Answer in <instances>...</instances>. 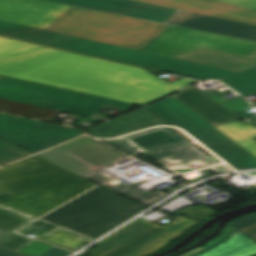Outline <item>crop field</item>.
<instances>
[{"label":"crop field","mask_w":256,"mask_h":256,"mask_svg":"<svg viewBox=\"0 0 256 256\" xmlns=\"http://www.w3.org/2000/svg\"><path fill=\"white\" fill-rule=\"evenodd\" d=\"M120 64L72 53L13 78L138 105L195 81L183 78L169 85L144 69Z\"/></svg>","instance_id":"crop-field-1"},{"label":"crop field","mask_w":256,"mask_h":256,"mask_svg":"<svg viewBox=\"0 0 256 256\" xmlns=\"http://www.w3.org/2000/svg\"><path fill=\"white\" fill-rule=\"evenodd\" d=\"M0 35L182 76L219 79L244 97L256 95V68L236 73L3 21H0Z\"/></svg>","instance_id":"crop-field-2"},{"label":"crop field","mask_w":256,"mask_h":256,"mask_svg":"<svg viewBox=\"0 0 256 256\" xmlns=\"http://www.w3.org/2000/svg\"><path fill=\"white\" fill-rule=\"evenodd\" d=\"M93 186L36 156L0 168V204L36 218Z\"/></svg>","instance_id":"crop-field-3"},{"label":"crop field","mask_w":256,"mask_h":256,"mask_svg":"<svg viewBox=\"0 0 256 256\" xmlns=\"http://www.w3.org/2000/svg\"><path fill=\"white\" fill-rule=\"evenodd\" d=\"M168 26L70 6L46 30L140 50Z\"/></svg>","instance_id":"crop-field-4"},{"label":"crop field","mask_w":256,"mask_h":256,"mask_svg":"<svg viewBox=\"0 0 256 256\" xmlns=\"http://www.w3.org/2000/svg\"><path fill=\"white\" fill-rule=\"evenodd\" d=\"M145 209L97 187L40 220L95 239Z\"/></svg>","instance_id":"crop-field-5"},{"label":"crop field","mask_w":256,"mask_h":256,"mask_svg":"<svg viewBox=\"0 0 256 256\" xmlns=\"http://www.w3.org/2000/svg\"><path fill=\"white\" fill-rule=\"evenodd\" d=\"M146 107L170 125L181 127L201 143L210 146L212 151L235 169L256 168V157L174 97Z\"/></svg>","instance_id":"crop-field-6"},{"label":"crop field","mask_w":256,"mask_h":256,"mask_svg":"<svg viewBox=\"0 0 256 256\" xmlns=\"http://www.w3.org/2000/svg\"><path fill=\"white\" fill-rule=\"evenodd\" d=\"M198 222L179 216L166 226H157L140 217L98 243L90 256H150Z\"/></svg>","instance_id":"crop-field-7"},{"label":"crop field","mask_w":256,"mask_h":256,"mask_svg":"<svg viewBox=\"0 0 256 256\" xmlns=\"http://www.w3.org/2000/svg\"><path fill=\"white\" fill-rule=\"evenodd\" d=\"M0 97L64 110L88 117H91L103 103L127 109L134 107L130 104L118 103L100 97L84 95L77 92L42 86L6 77L0 79Z\"/></svg>","instance_id":"crop-field-8"},{"label":"crop field","mask_w":256,"mask_h":256,"mask_svg":"<svg viewBox=\"0 0 256 256\" xmlns=\"http://www.w3.org/2000/svg\"><path fill=\"white\" fill-rule=\"evenodd\" d=\"M201 48L249 57L256 52V42L169 26L141 50L173 57Z\"/></svg>","instance_id":"crop-field-9"},{"label":"crop field","mask_w":256,"mask_h":256,"mask_svg":"<svg viewBox=\"0 0 256 256\" xmlns=\"http://www.w3.org/2000/svg\"><path fill=\"white\" fill-rule=\"evenodd\" d=\"M105 142L132 155L143 153L154 160L174 155L194 166L210 157L194 145L185 146L189 141L169 127L149 129Z\"/></svg>","instance_id":"crop-field-10"},{"label":"crop field","mask_w":256,"mask_h":256,"mask_svg":"<svg viewBox=\"0 0 256 256\" xmlns=\"http://www.w3.org/2000/svg\"><path fill=\"white\" fill-rule=\"evenodd\" d=\"M38 155L97 184L111 179L94 171L95 169L125 157L86 137L78 138Z\"/></svg>","instance_id":"crop-field-11"},{"label":"crop field","mask_w":256,"mask_h":256,"mask_svg":"<svg viewBox=\"0 0 256 256\" xmlns=\"http://www.w3.org/2000/svg\"><path fill=\"white\" fill-rule=\"evenodd\" d=\"M81 135L78 130L0 113V138L33 153Z\"/></svg>","instance_id":"crop-field-12"},{"label":"crop field","mask_w":256,"mask_h":256,"mask_svg":"<svg viewBox=\"0 0 256 256\" xmlns=\"http://www.w3.org/2000/svg\"><path fill=\"white\" fill-rule=\"evenodd\" d=\"M35 218L0 206V246L30 256H67L71 252L14 233Z\"/></svg>","instance_id":"crop-field-13"},{"label":"crop field","mask_w":256,"mask_h":256,"mask_svg":"<svg viewBox=\"0 0 256 256\" xmlns=\"http://www.w3.org/2000/svg\"><path fill=\"white\" fill-rule=\"evenodd\" d=\"M68 7L44 0H0V20L45 29Z\"/></svg>","instance_id":"crop-field-14"},{"label":"crop field","mask_w":256,"mask_h":256,"mask_svg":"<svg viewBox=\"0 0 256 256\" xmlns=\"http://www.w3.org/2000/svg\"><path fill=\"white\" fill-rule=\"evenodd\" d=\"M164 23L176 10L130 0H49Z\"/></svg>","instance_id":"crop-field-15"},{"label":"crop field","mask_w":256,"mask_h":256,"mask_svg":"<svg viewBox=\"0 0 256 256\" xmlns=\"http://www.w3.org/2000/svg\"><path fill=\"white\" fill-rule=\"evenodd\" d=\"M256 25V10L211 0H135Z\"/></svg>","instance_id":"crop-field-16"},{"label":"crop field","mask_w":256,"mask_h":256,"mask_svg":"<svg viewBox=\"0 0 256 256\" xmlns=\"http://www.w3.org/2000/svg\"><path fill=\"white\" fill-rule=\"evenodd\" d=\"M165 23L256 41V26L177 10Z\"/></svg>","instance_id":"crop-field-17"},{"label":"crop field","mask_w":256,"mask_h":256,"mask_svg":"<svg viewBox=\"0 0 256 256\" xmlns=\"http://www.w3.org/2000/svg\"><path fill=\"white\" fill-rule=\"evenodd\" d=\"M173 96L214 126L241 119L192 86Z\"/></svg>","instance_id":"crop-field-18"},{"label":"crop field","mask_w":256,"mask_h":256,"mask_svg":"<svg viewBox=\"0 0 256 256\" xmlns=\"http://www.w3.org/2000/svg\"><path fill=\"white\" fill-rule=\"evenodd\" d=\"M166 125L146 109L142 108L115 120L87 130L89 134L99 138H113L143 128Z\"/></svg>","instance_id":"crop-field-19"},{"label":"crop field","mask_w":256,"mask_h":256,"mask_svg":"<svg viewBox=\"0 0 256 256\" xmlns=\"http://www.w3.org/2000/svg\"><path fill=\"white\" fill-rule=\"evenodd\" d=\"M174 58L184 59L236 72L256 67V53L247 58L230 53L202 49L182 54Z\"/></svg>","instance_id":"crop-field-20"},{"label":"crop field","mask_w":256,"mask_h":256,"mask_svg":"<svg viewBox=\"0 0 256 256\" xmlns=\"http://www.w3.org/2000/svg\"><path fill=\"white\" fill-rule=\"evenodd\" d=\"M18 232L25 235H37L35 238L72 251L83 246L85 242L90 240L39 220L25 226L24 228L18 230Z\"/></svg>","instance_id":"crop-field-21"},{"label":"crop field","mask_w":256,"mask_h":256,"mask_svg":"<svg viewBox=\"0 0 256 256\" xmlns=\"http://www.w3.org/2000/svg\"><path fill=\"white\" fill-rule=\"evenodd\" d=\"M53 50L54 49L0 37V70Z\"/></svg>","instance_id":"crop-field-22"},{"label":"crop field","mask_w":256,"mask_h":256,"mask_svg":"<svg viewBox=\"0 0 256 256\" xmlns=\"http://www.w3.org/2000/svg\"><path fill=\"white\" fill-rule=\"evenodd\" d=\"M256 254V244L239 231L223 244L201 256H252Z\"/></svg>","instance_id":"crop-field-23"},{"label":"crop field","mask_w":256,"mask_h":256,"mask_svg":"<svg viewBox=\"0 0 256 256\" xmlns=\"http://www.w3.org/2000/svg\"><path fill=\"white\" fill-rule=\"evenodd\" d=\"M0 112L49 120L60 111L0 98Z\"/></svg>","instance_id":"crop-field-24"},{"label":"crop field","mask_w":256,"mask_h":256,"mask_svg":"<svg viewBox=\"0 0 256 256\" xmlns=\"http://www.w3.org/2000/svg\"><path fill=\"white\" fill-rule=\"evenodd\" d=\"M70 53L71 52L55 50L53 52L47 53L45 55L39 56V57L34 58L32 60L26 61L24 63L18 64L16 66L11 67V68L0 71V74L13 76L15 74L21 73L23 71H26L28 69L39 66L41 64L52 61L54 59H57L59 57H62L64 55H67V54H70Z\"/></svg>","instance_id":"crop-field-25"},{"label":"crop field","mask_w":256,"mask_h":256,"mask_svg":"<svg viewBox=\"0 0 256 256\" xmlns=\"http://www.w3.org/2000/svg\"><path fill=\"white\" fill-rule=\"evenodd\" d=\"M216 127L235 142L256 137V127L250 124L244 125L239 121Z\"/></svg>","instance_id":"crop-field-26"},{"label":"crop field","mask_w":256,"mask_h":256,"mask_svg":"<svg viewBox=\"0 0 256 256\" xmlns=\"http://www.w3.org/2000/svg\"><path fill=\"white\" fill-rule=\"evenodd\" d=\"M127 187H128L127 185H125L124 183H121V184H119V185H117V186H115V187H113L109 190L120 193V194H122L124 196H127L129 198H132V199H134V200H136L140 203H142V202L152 203V202H154V201H156V200H158L161 197L166 195V194L161 193L159 191L153 192L149 195H146V194H144L142 192H139V191H137L133 188L129 189Z\"/></svg>","instance_id":"crop-field-27"},{"label":"crop field","mask_w":256,"mask_h":256,"mask_svg":"<svg viewBox=\"0 0 256 256\" xmlns=\"http://www.w3.org/2000/svg\"><path fill=\"white\" fill-rule=\"evenodd\" d=\"M229 225L256 243V214L242 217Z\"/></svg>","instance_id":"crop-field-28"},{"label":"crop field","mask_w":256,"mask_h":256,"mask_svg":"<svg viewBox=\"0 0 256 256\" xmlns=\"http://www.w3.org/2000/svg\"><path fill=\"white\" fill-rule=\"evenodd\" d=\"M31 155L30 153L0 140V165Z\"/></svg>","instance_id":"crop-field-29"},{"label":"crop field","mask_w":256,"mask_h":256,"mask_svg":"<svg viewBox=\"0 0 256 256\" xmlns=\"http://www.w3.org/2000/svg\"><path fill=\"white\" fill-rule=\"evenodd\" d=\"M178 213L185 214L192 218L205 219L217 212H215L207 207L200 206V207H192V208H189L186 210H182Z\"/></svg>","instance_id":"crop-field-30"},{"label":"crop field","mask_w":256,"mask_h":256,"mask_svg":"<svg viewBox=\"0 0 256 256\" xmlns=\"http://www.w3.org/2000/svg\"><path fill=\"white\" fill-rule=\"evenodd\" d=\"M159 163L163 166H192L174 156H170L159 160Z\"/></svg>","instance_id":"crop-field-31"},{"label":"crop field","mask_w":256,"mask_h":256,"mask_svg":"<svg viewBox=\"0 0 256 256\" xmlns=\"http://www.w3.org/2000/svg\"><path fill=\"white\" fill-rule=\"evenodd\" d=\"M216 1H221L225 3H230L234 5L256 9V0H216Z\"/></svg>","instance_id":"crop-field-32"},{"label":"crop field","mask_w":256,"mask_h":256,"mask_svg":"<svg viewBox=\"0 0 256 256\" xmlns=\"http://www.w3.org/2000/svg\"><path fill=\"white\" fill-rule=\"evenodd\" d=\"M237 143L240 146H242L243 148H245L247 151L252 153L254 156H256V142L249 139V140H245V141H241V142H237Z\"/></svg>","instance_id":"crop-field-33"},{"label":"crop field","mask_w":256,"mask_h":256,"mask_svg":"<svg viewBox=\"0 0 256 256\" xmlns=\"http://www.w3.org/2000/svg\"><path fill=\"white\" fill-rule=\"evenodd\" d=\"M198 168H166L165 170L173 173V174H180V173H186L189 171L196 170Z\"/></svg>","instance_id":"crop-field-34"},{"label":"crop field","mask_w":256,"mask_h":256,"mask_svg":"<svg viewBox=\"0 0 256 256\" xmlns=\"http://www.w3.org/2000/svg\"><path fill=\"white\" fill-rule=\"evenodd\" d=\"M0 256H27L4 248H0Z\"/></svg>","instance_id":"crop-field-35"},{"label":"crop field","mask_w":256,"mask_h":256,"mask_svg":"<svg viewBox=\"0 0 256 256\" xmlns=\"http://www.w3.org/2000/svg\"><path fill=\"white\" fill-rule=\"evenodd\" d=\"M212 171L216 173H221V172H226V171H231L230 168H228L226 165H221L217 167L210 168Z\"/></svg>","instance_id":"crop-field-36"},{"label":"crop field","mask_w":256,"mask_h":256,"mask_svg":"<svg viewBox=\"0 0 256 256\" xmlns=\"http://www.w3.org/2000/svg\"><path fill=\"white\" fill-rule=\"evenodd\" d=\"M218 163H219V161L212 158V159L206 160L203 164H204V166L208 167V166L215 165Z\"/></svg>","instance_id":"crop-field-37"},{"label":"crop field","mask_w":256,"mask_h":256,"mask_svg":"<svg viewBox=\"0 0 256 256\" xmlns=\"http://www.w3.org/2000/svg\"><path fill=\"white\" fill-rule=\"evenodd\" d=\"M204 248H206V247H199V248L193 250L192 252H190V253H188V254H185V255H183V256H192V254H194V253H196V252H198V251H200V250H202V249H204Z\"/></svg>","instance_id":"crop-field-38"},{"label":"crop field","mask_w":256,"mask_h":256,"mask_svg":"<svg viewBox=\"0 0 256 256\" xmlns=\"http://www.w3.org/2000/svg\"><path fill=\"white\" fill-rule=\"evenodd\" d=\"M251 107H252V106L249 105V106H247V107L241 108V109L236 110V111L240 112V111H243V110H246V109H250Z\"/></svg>","instance_id":"crop-field-39"},{"label":"crop field","mask_w":256,"mask_h":256,"mask_svg":"<svg viewBox=\"0 0 256 256\" xmlns=\"http://www.w3.org/2000/svg\"><path fill=\"white\" fill-rule=\"evenodd\" d=\"M89 252V249H87L83 254H81L80 256H87Z\"/></svg>","instance_id":"crop-field-40"},{"label":"crop field","mask_w":256,"mask_h":256,"mask_svg":"<svg viewBox=\"0 0 256 256\" xmlns=\"http://www.w3.org/2000/svg\"><path fill=\"white\" fill-rule=\"evenodd\" d=\"M219 99H221L222 101H224L225 102V100H223L221 97H219L218 95H216Z\"/></svg>","instance_id":"crop-field-41"},{"label":"crop field","mask_w":256,"mask_h":256,"mask_svg":"<svg viewBox=\"0 0 256 256\" xmlns=\"http://www.w3.org/2000/svg\"><path fill=\"white\" fill-rule=\"evenodd\" d=\"M1 78V77H0Z\"/></svg>","instance_id":"crop-field-42"}]
</instances>
